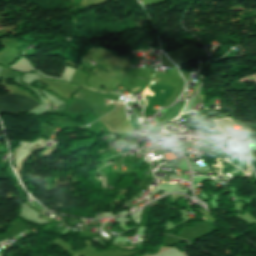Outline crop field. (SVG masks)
<instances>
[{"label":"crop field","mask_w":256,"mask_h":256,"mask_svg":"<svg viewBox=\"0 0 256 256\" xmlns=\"http://www.w3.org/2000/svg\"><path fill=\"white\" fill-rule=\"evenodd\" d=\"M38 105L40 104L22 95L0 96V112H27Z\"/></svg>","instance_id":"1"},{"label":"crop field","mask_w":256,"mask_h":256,"mask_svg":"<svg viewBox=\"0 0 256 256\" xmlns=\"http://www.w3.org/2000/svg\"><path fill=\"white\" fill-rule=\"evenodd\" d=\"M204 220H207V218L203 217ZM215 226V225H214ZM216 228V227H215Z\"/></svg>","instance_id":"4"},{"label":"crop field","mask_w":256,"mask_h":256,"mask_svg":"<svg viewBox=\"0 0 256 256\" xmlns=\"http://www.w3.org/2000/svg\"><path fill=\"white\" fill-rule=\"evenodd\" d=\"M5 174L1 171V168H0V177H4Z\"/></svg>","instance_id":"2"},{"label":"crop field","mask_w":256,"mask_h":256,"mask_svg":"<svg viewBox=\"0 0 256 256\" xmlns=\"http://www.w3.org/2000/svg\"><path fill=\"white\" fill-rule=\"evenodd\" d=\"M138 89V88H137ZM134 90H136V89H134ZM134 90H132V91H134Z\"/></svg>","instance_id":"5"},{"label":"crop field","mask_w":256,"mask_h":256,"mask_svg":"<svg viewBox=\"0 0 256 256\" xmlns=\"http://www.w3.org/2000/svg\"><path fill=\"white\" fill-rule=\"evenodd\" d=\"M121 226L124 227L125 229L129 228V227H127L125 224H123V225H121Z\"/></svg>","instance_id":"3"}]
</instances>
